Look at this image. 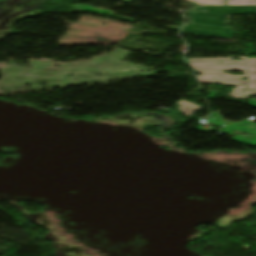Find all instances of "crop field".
<instances>
[{
  "mask_svg": "<svg viewBox=\"0 0 256 256\" xmlns=\"http://www.w3.org/2000/svg\"><path fill=\"white\" fill-rule=\"evenodd\" d=\"M245 60L233 63L231 58H216V59H188L191 61L189 65L194 68L202 76H197L200 83L223 84L224 86H239L233 89V96L237 99L248 97L249 94H256V59H247V57H236ZM223 60V64H217ZM231 63L232 65H228ZM246 63V65H242ZM221 70H238L244 72L243 76L228 75ZM211 77H216L212 79ZM242 77H248V81L241 80ZM237 78V79H235ZM216 80V81H214ZM255 88V90H252ZM247 90L248 92L237 95L236 93ZM244 95V96H242Z\"/></svg>",
  "mask_w": 256,
  "mask_h": 256,
  "instance_id": "crop-field-1",
  "label": "crop field"
},
{
  "mask_svg": "<svg viewBox=\"0 0 256 256\" xmlns=\"http://www.w3.org/2000/svg\"><path fill=\"white\" fill-rule=\"evenodd\" d=\"M232 130H239L241 132H244V133H250L252 135H255L254 138H250V137H247V136H244V135H240L238 137H234L232 139L238 141V142H241V143H245V144H248L250 146H256V131H252L254 133H251V132H248L247 129H244V128H236V129H229V130H224L223 132L224 133H227V134H233ZM225 131H228V132H225Z\"/></svg>",
  "mask_w": 256,
  "mask_h": 256,
  "instance_id": "crop-field-2",
  "label": "crop field"
},
{
  "mask_svg": "<svg viewBox=\"0 0 256 256\" xmlns=\"http://www.w3.org/2000/svg\"><path fill=\"white\" fill-rule=\"evenodd\" d=\"M179 103H182V104H181L182 107L179 108L178 110L181 111V112H182L184 115H186L187 117L202 108V107H199V106H197V105L191 104V103L186 102V101H183V100H181V101L178 102L177 104H179ZM179 105H180V104H179Z\"/></svg>",
  "mask_w": 256,
  "mask_h": 256,
  "instance_id": "crop-field-3",
  "label": "crop field"
},
{
  "mask_svg": "<svg viewBox=\"0 0 256 256\" xmlns=\"http://www.w3.org/2000/svg\"><path fill=\"white\" fill-rule=\"evenodd\" d=\"M197 2V5H225V0H189Z\"/></svg>",
  "mask_w": 256,
  "mask_h": 256,
  "instance_id": "crop-field-4",
  "label": "crop field"
},
{
  "mask_svg": "<svg viewBox=\"0 0 256 256\" xmlns=\"http://www.w3.org/2000/svg\"><path fill=\"white\" fill-rule=\"evenodd\" d=\"M248 126L250 127H255L256 128V124L254 123H248L247 121L243 122V123H237L235 125H229L227 127H224L225 129H228V128H236V127H244V128H248ZM248 129H251V128H248ZM253 130V129H251ZM256 130V129H255Z\"/></svg>",
  "mask_w": 256,
  "mask_h": 256,
  "instance_id": "crop-field-5",
  "label": "crop field"
},
{
  "mask_svg": "<svg viewBox=\"0 0 256 256\" xmlns=\"http://www.w3.org/2000/svg\"><path fill=\"white\" fill-rule=\"evenodd\" d=\"M256 5V0H239V6Z\"/></svg>",
  "mask_w": 256,
  "mask_h": 256,
  "instance_id": "crop-field-6",
  "label": "crop field"
},
{
  "mask_svg": "<svg viewBox=\"0 0 256 256\" xmlns=\"http://www.w3.org/2000/svg\"><path fill=\"white\" fill-rule=\"evenodd\" d=\"M227 5H238V0H227Z\"/></svg>",
  "mask_w": 256,
  "mask_h": 256,
  "instance_id": "crop-field-7",
  "label": "crop field"
},
{
  "mask_svg": "<svg viewBox=\"0 0 256 256\" xmlns=\"http://www.w3.org/2000/svg\"><path fill=\"white\" fill-rule=\"evenodd\" d=\"M250 101L246 102V104H249V105H252V106H255L256 107V101L249 98Z\"/></svg>",
  "mask_w": 256,
  "mask_h": 256,
  "instance_id": "crop-field-8",
  "label": "crop field"
}]
</instances>
